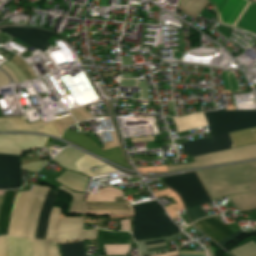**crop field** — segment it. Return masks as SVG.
<instances>
[{"mask_svg": "<svg viewBox=\"0 0 256 256\" xmlns=\"http://www.w3.org/2000/svg\"><path fill=\"white\" fill-rule=\"evenodd\" d=\"M47 190H48L47 187H42V186L39 189L38 195L36 197V200L34 202L32 212H31V215H30L26 238L34 239V237H35L37 220H38V216H39V213H40L42 203L44 201L43 196L46 195Z\"/></svg>", "mask_w": 256, "mask_h": 256, "instance_id": "crop-field-21", "label": "crop field"}, {"mask_svg": "<svg viewBox=\"0 0 256 256\" xmlns=\"http://www.w3.org/2000/svg\"><path fill=\"white\" fill-rule=\"evenodd\" d=\"M208 253L210 256H215V252L212 249L208 250Z\"/></svg>", "mask_w": 256, "mask_h": 256, "instance_id": "crop-field-43", "label": "crop field"}, {"mask_svg": "<svg viewBox=\"0 0 256 256\" xmlns=\"http://www.w3.org/2000/svg\"><path fill=\"white\" fill-rule=\"evenodd\" d=\"M66 140H69L87 150H90L92 152H95L109 160H112L116 163L122 164V165H126L125 161L122 158L121 155V151H120V147H114L108 150H104L102 151L101 148L98 146L97 143H95L94 141L90 140L89 138L75 133L73 131H70L67 129V131L64 133L63 137Z\"/></svg>", "mask_w": 256, "mask_h": 256, "instance_id": "crop-field-11", "label": "crop field"}, {"mask_svg": "<svg viewBox=\"0 0 256 256\" xmlns=\"http://www.w3.org/2000/svg\"><path fill=\"white\" fill-rule=\"evenodd\" d=\"M133 235L136 240L166 236L178 230L155 202L132 206Z\"/></svg>", "mask_w": 256, "mask_h": 256, "instance_id": "crop-field-2", "label": "crop field"}, {"mask_svg": "<svg viewBox=\"0 0 256 256\" xmlns=\"http://www.w3.org/2000/svg\"><path fill=\"white\" fill-rule=\"evenodd\" d=\"M14 196L15 193H13L12 190L5 191L4 193V199L0 214V235H6L7 233Z\"/></svg>", "mask_w": 256, "mask_h": 256, "instance_id": "crop-field-22", "label": "crop field"}, {"mask_svg": "<svg viewBox=\"0 0 256 256\" xmlns=\"http://www.w3.org/2000/svg\"><path fill=\"white\" fill-rule=\"evenodd\" d=\"M56 194H57L56 192L50 189L47 192L46 199L44 201V204L39 216L35 239H45V230L48 223L52 205L56 198Z\"/></svg>", "mask_w": 256, "mask_h": 256, "instance_id": "crop-field-17", "label": "crop field"}, {"mask_svg": "<svg viewBox=\"0 0 256 256\" xmlns=\"http://www.w3.org/2000/svg\"><path fill=\"white\" fill-rule=\"evenodd\" d=\"M228 136L234 147L256 143V128L229 133Z\"/></svg>", "mask_w": 256, "mask_h": 256, "instance_id": "crop-field-27", "label": "crop field"}, {"mask_svg": "<svg viewBox=\"0 0 256 256\" xmlns=\"http://www.w3.org/2000/svg\"><path fill=\"white\" fill-rule=\"evenodd\" d=\"M59 189L71 194L73 196V201L71 203L70 212L69 213H85L82 199L84 194H75L70 192L64 187H59Z\"/></svg>", "mask_w": 256, "mask_h": 256, "instance_id": "crop-field-30", "label": "crop field"}, {"mask_svg": "<svg viewBox=\"0 0 256 256\" xmlns=\"http://www.w3.org/2000/svg\"><path fill=\"white\" fill-rule=\"evenodd\" d=\"M96 238L99 239H130L131 235L127 232H106L98 229Z\"/></svg>", "mask_w": 256, "mask_h": 256, "instance_id": "crop-field-32", "label": "crop field"}, {"mask_svg": "<svg viewBox=\"0 0 256 256\" xmlns=\"http://www.w3.org/2000/svg\"><path fill=\"white\" fill-rule=\"evenodd\" d=\"M34 187L29 192L16 193L7 235L21 237L24 214Z\"/></svg>", "mask_w": 256, "mask_h": 256, "instance_id": "crop-field-15", "label": "crop field"}, {"mask_svg": "<svg viewBox=\"0 0 256 256\" xmlns=\"http://www.w3.org/2000/svg\"><path fill=\"white\" fill-rule=\"evenodd\" d=\"M172 119L177 132L207 126V122L202 113H195L188 116Z\"/></svg>", "mask_w": 256, "mask_h": 256, "instance_id": "crop-field-20", "label": "crop field"}, {"mask_svg": "<svg viewBox=\"0 0 256 256\" xmlns=\"http://www.w3.org/2000/svg\"><path fill=\"white\" fill-rule=\"evenodd\" d=\"M4 65L8 66L14 72V74L18 78L19 82L26 81V79L23 76L22 72L20 71V69L16 65L12 64L9 61H7Z\"/></svg>", "mask_w": 256, "mask_h": 256, "instance_id": "crop-field-37", "label": "crop field"}, {"mask_svg": "<svg viewBox=\"0 0 256 256\" xmlns=\"http://www.w3.org/2000/svg\"><path fill=\"white\" fill-rule=\"evenodd\" d=\"M236 28H241L246 31L252 32L256 34V5L250 3L244 14L241 16L237 24Z\"/></svg>", "mask_w": 256, "mask_h": 256, "instance_id": "crop-field-23", "label": "crop field"}, {"mask_svg": "<svg viewBox=\"0 0 256 256\" xmlns=\"http://www.w3.org/2000/svg\"><path fill=\"white\" fill-rule=\"evenodd\" d=\"M7 256H32L30 240L6 236Z\"/></svg>", "mask_w": 256, "mask_h": 256, "instance_id": "crop-field-19", "label": "crop field"}, {"mask_svg": "<svg viewBox=\"0 0 256 256\" xmlns=\"http://www.w3.org/2000/svg\"><path fill=\"white\" fill-rule=\"evenodd\" d=\"M255 89H256V85H254Z\"/></svg>", "mask_w": 256, "mask_h": 256, "instance_id": "crop-field-44", "label": "crop field"}, {"mask_svg": "<svg viewBox=\"0 0 256 256\" xmlns=\"http://www.w3.org/2000/svg\"><path fill=\"white\" fill-rule=\"evenodd\" d=\"M63 256H85L82 242L60 245Z\"/></svg>", "mask_w": 256, "mask_h": 256, "instance_id": "crop-field-29", "label": "crop field"}, {"mask_svg": "<svg viewBox=\"0 0 256 256\" xmlns=\"http://www.w3.org/2000/svg\"><path fill=\"white\" fill-rule=\"evenodd\" d=\"M107 255H119L129 251V245H103Z\"/></svg>", "mask_w": 256, "mask_h": 256, "instance_id": "crop-field-35", "label": "crop field"}, {"mask_svg": "<svg viewBox=\"0 0 256 256\" xmlns=\"http://www.w3.org/2000/svg\"><path fill=\"white\" fill-rule=\"evenodd\" d=\"M75 164L77 165V167L80 169V171L82 173H84V174H86L90 177L110 173L112 171H116V170L106 166V167L100 168V169H98L95 172L90 174L86 168L92 167V166H95V165L100 167V166H103L104 164H102V163H100V162H98V161H96L92 158H89L85 155L80 160H78Z\"/></svg>", "mask_w": 256, "mask_h": 256, "instance_id": "crop-field-25", "label": "crop field"}, {"mask_svg": "<svg viewBox=\"0 0 256 256\" xmlns=\"http://www.w3.org/2000/svg\"><path fill=\"white\" fill-rule=\"evenodd\" d=\"M7 131L39 132L57 137L60 136L51 122L43 124V122L39 120L27 125L23 117L0 118V132Z\"/></svg>", "mask_w": 256, "mask_h": 256, "instance_id": "crop-field-10", "label": "crop field"}, {"mask_svg": "<svg viewBox=\"0 0 256 256\" xmlns=\"http://www.w3.org/2000/svg\"><path fill=\"white\" fill-rule=\"evenodd\" d=\"M218 9L220 21L234 27L250 2L247 0H210Z\"/></svg>", "mask_w": 256, "mask_h": 256, "instance_id": "crop-field-14", "label": "crop field"}, {"mask_svg": "<svg viewBox=\"0 0 256 256\" xmlns=\"http://www.w3.org/2000/svg\"><path fill=\"white\" fill-rule=\"evenodd\" d=\"M231 252L236 256H256V244L251 241Z\"/></svg>", "mask_w": 256, "mask_h": 256, "instance_id": "crop-field-31", "label": "crop field"}, {"mask_svg": "<svg viewBox=\"0 0 256 256\" xmlns=\"http://www.w3.org/2000/svg\"><path fill=\"white\" fill-rule=\"evenodd\" d=\"M96 231L97 229L83 231L82 234L79 236L78 240L81 241V240L93 239L96 236Z\"/></svg>", "mask_w": 256, "mask_h": 256, "instance_id": "crop-field-39", "label": "crop field"}, {"mask_svg": "<svg viewBox=\"0 0 256 256\" xmlns=\"http://www.w3.org/2000/svg\"><path fill=\"white\" fill-rule=\"evenodd\" d=\"M180 253H205V252H180ZM155 256H178V250L155 255ZM180 256H205V254H180Z\"/></svg>", "mask_w": 256, "mask_h": 256, "instance_id": "crop-field-38", "label": "crop field"}, {"mask_svg": "<svg viewBox=\"0 0 256 256\" xmlns=\"http://www.w3.org/2000/svg\"><path fill=\"white\" fill-rule=\"evenodd\" d=\"M81 231L47 230L46 239H56L57 243L73 241ZM55 240H31L33 256H60Z\"/></svg>", "mask_w": 256, "mask_h": 256, "instance_id": "crop-field-7", "label": "crop field"}, {"mask_svg": "<svg viewBox=\"0 0 256 256\" xmlns=\"http://www.w3.org/2000/svg\"><path fill=\"white\" fill-rule=\"evenodd\" d=\"M56 180L73 190H78L83 192L88 179L81 175H77V174L66 171L63 175H61Z\"/></svg>", "mask_w": 256, "mask_h": 256, "instance_id": "crop-field-26", "label": "crop field"}, {"mask_svg": "<svg viewBox=\"0 0 256 256\" xmlns=\"http://www.w3.org/2000/svg\"><path fill=\"white\" fill-rule=\"evenodd\" d=\"M181 145L183 147V150H185L192 156L233 148L226 134L187 142Z\"/></svg>", "mask_w": 256, "mask_h": 256, "instance_id": "crop-field-12", "label": "crop field"}, {"mask_svg": "<svg viewBox=\"0 0 256 256\" xmlns=\"http://www.w3.org/2000/svg\"><path fill=\"white\" fill-rule=\"evenodd\" d=\"M87 213H123L131 214L124 203L85 202Z\"/></svg>", "mask_w": 256, "mask_h": 256, "instance_id": "crop-field-18", "label": "crop field"}, {"mask_svg": "<svg viewBox=\"0 0 256 256\" xmlns=\"http://www.w3.org/2000/svg\"><path fill=\"white\" fill-rule=\"evenodd\" d=\"M193 224L198 229H200L202 232H204L209 237H211L216 243L221 241L225 237L229 236L230 234L234 233L228 227H226L224 224L221 223L218 216L201 219ZM243 234H245V233H243L240 230V231L230 235L226 239L222 240L218 244H220L222 247H224L225 245H227L230 242L234 241L235 239L239 238Z\"/></svg>", "mask_w": 256, "mask_h": 256, "instance_id": "crop-field-9", "label": "crop field"}, {"mask_svg": "<svg viewBox=\"0 0 256 256\" xmlns=\"http://www.w3.org/2000/svg\"><path fill=\"white\" fill-rule=\"evenodd\" d=\"M46 140L30 135H0V153L21 155L24 151L43 147Z\"/></svg>", "mask_w": 256, "mask_h": 256, "instance_id": "crop-field-8", "label": "crop field"}, {"mask_svg": "<svg viewBox=\"0 0 256 256\" xmlns=\"http://www.w3.org/2000/svg\"><path fill=\"white\" fill-rule=\"evenodd\" d=\"M213 200L256 191V162L197 171ZM238 212L256 209V192L229 196Z\"/></svg>", "mask_w": 256, "mask_h": 256, "instance_id": "crop-field-1", "label": "crop field"}, {"mask_svg": "<svg viewBox=\"0 0 256 256\" xmlns=\"http://www.w3.org/2000/svg\"><path fill=\"white\" fill-rule=\"evenodd\" d=\"M163 181L182 197L187 209L211 201L195 172L164 177Z\"/></svg>", "mask_w": 256, "mask_h": 256, "instance_id": "crop-field-4", "label": "crop field"}, {"mask_svg": "<svg viewBox=\"0 0 256 256\" xmlns=\"http://www.w3.org/2000/svg\"><path fill=\"white\" fill-rule=\"evenodd\" d=\"M209 3L207 0H181L178 8L188 15L197 16L198 13Z\"/></svg>", "mask_w": 256, "mask_h": 256, "instance_id": "crop-field-28", "label": "crop field"}, {"mask_svg": "<svg viewBox=\"0 0 256 256\" xmlns=\"http://www.w3.org/2000/svg\"><path fill=\"white\" fill-rule=\"evenodd\" d=\"M59 208H52L47 229L82 230V218L59 217Z\"/></svg>", "mask_w": 256, "mask_h": 256, "instance_id": "crop-field-16", "label": "crop field"}, {"mask_svg": "<svg viewBox=\"0 0 256 256\" xmlns=\"http://www.w3.org/2000/svg\"><path fill=\"white\" fill-rule=\"evenodd\" d=\"M6 84H9V80H8L7 76L0 71V86L6 85Z\"/></svg>", "mask_w": 256, "mask_h": 256, "instance_id": "crop-field-41", "label": "crop field"}, {"mask_svg": "<svg viewBox=\"0 0 256 256\" xmlns=\"http://www.w3.org/2000/svg\"><path fill=\"white\" fill-rule=\"evenodd\" d=\"M9 61L16 64L22 70V72L24 73L27 80H31V79L36 78L35 74L30 69V67L18 56H16V55L13 56Z\"/></svg>", "mask_w": 256, "mask_h": 256, "instance_id": "crop-field-33", "label": "crop field"}, {"mask_svg": "<svg viewBox=\"0 0 256 256\" xmlns=\"http://www.w3.org/2000/svg\"><path fill=\"white\" fill-rule=\"evenodd\" d=\"M3 193L4 191H0V209H1L2 199H3Z\"/></svg>", "mask_w": 256, "mask_h": 256, "instance_id": "crop-field-42", "label": "crop field"}, {"mask_svg": "<svg viewBox=\"0 0 256 256\" xmlns=\"http://www.w3.org/2000/svg\"><path fill=\"white\" fill-rule=\"evenodd\" d=\"M40 186H36L35 187V190H34V193H33V196L28 204V207H27V211H26V214H25V221H24V227H23V234H22V237L25 238L26 236V230H27V225H28V219H29V215H30V211H31V207H32V204L35 200V197L37 195V192H38V189H39Z\"/></svg>", "mask_w": 256, "mask_h": 256, "instance_id": "crop-field-36", "label": "crop field"}, {"mask_svg": "<svg viewBox=\"0 0 256 256\" xmlns=\"http://www.w3.org/2000/svg\"><path fill=\"white\" fill-rule=\"evenodd\" d=\"M222 77H223L224 87L226 88V90L239 91L236 80L231 71L229 72L223 71Z\"/></svg>", "mask_w": 256, "mask_h": 256, "instance_id": "crop-field-34", "label": "crop field"}, {"mask_svg": "<svg viewBox=\"0 0 256 256\" xmlns=\"http://www.w3.org/2000/svg\"><path fill=\"white\" fill-rule=\"evenodd\" d=\"M209 129V137L256 127L255 110L213 111L203 113Z\"/></svg>", "mask_w": 256, "mask_h": 256, "instance_id": "crop-field-3", "label": "crop field"}, {"mask_svg": "<svg viewBox=\"0 0 256 256\" xmlns=\"http://www.w3.org/2000/svg\"><path fill=\"white\" fill-rule=\"evenodd\" d=\"M253 1H255V2H256V0H253Z\"/></svg>", "mask_w": 256, "mask_h": 256, "instance_id": "crop-field-45", "label": "crop field"}, {"mask_svg": "<svg viewBox=\"0 0 256 256\" xmlns=\"http://www.w3.org/2000/svg\"><path fill=\"white\" fill-rule=\"evenodd\" d=\"M256 158V144L193 157L194 162L166 166L168 171L198 168Z\"/></svg>", "mask_w": 256, "mask_h": 256, "instance_id": "crop-field-5", "label": "crop field"}, {"mask_svg": "<svg viewBox=\"0 0 256 256\" xmlns=\"http://www.w3.org/2000/svg\"><path fill=\"white\" fill-rule=\"evenodd\" d=\"M82 156L83 154L73 149L65 148L53 160L72 171L79 172L74 163Z\"/></svg>", "mask_w": 256, "mask_h": 256, "instance_id": "crop-field-24", "label": "crop field"}, {"mask_svg": "<svg viewBox=\"0 0 256 256\" xmlns=\"http://www.w3.org/2000/svg\"><path fill=\"white\" fill-rule=\"evenodd\" d=\"M0 30L12 35L13 37L41 50L45 51L49 43L46 41L54 34L39 29L28 28H1Z\"/></svg>", "mask_w": 256, "mask_h": 256, "instance_id": "crop-field-13", "label": "crop field"}, {"mask_svg": "<svg viewBox=\"0 0 256 256\" xmlns=\"http://www.w3.org/2000/svg\"><path fill=\"white\" fill-rule=\"evenodd\" d=\"M19 157L15 155L0 154V190L16 189L21 187V172ZM50 158L20 166L21 169L37 172Z\"/></svg>", "mask_w": 256, "mask_h": 256, "instance_id": "crop-field-6", "label": "crop field"}, {"mask_svg": "<svg viewBox=\"0 0 256 256\" xmlns=\"http://www.w3.org/2000/svg\"><path fill=\"white\" fill-rule=\"evenodd\" d=\"M0 256H6L5 236H0Z\"/></svg>", "mask_w": 256, "mask_h": 256, "instance_id": "crop-field-40", "label": "crop field"}]
</instances>
